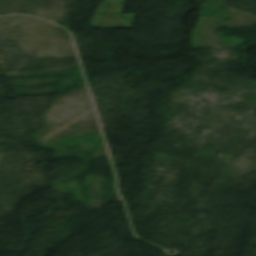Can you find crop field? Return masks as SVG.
<instances>
[{
    "label": "crop field",
    "instance_id": "obj_1",
    "mask_svg": "<svg viewBox=\"0 0 256 256\" xmlns=\"http://www.w3.org/2000/svg\"><path fill=\"white\" fill-rule=\"evenodd\" d=\"M125 0H105L91 22L94 28H133L137 14H123Z\"/></svg>",
    "mask_w": 256,
    "mask_h": 256
}]
</instances>
